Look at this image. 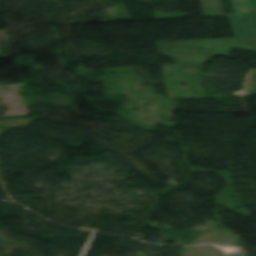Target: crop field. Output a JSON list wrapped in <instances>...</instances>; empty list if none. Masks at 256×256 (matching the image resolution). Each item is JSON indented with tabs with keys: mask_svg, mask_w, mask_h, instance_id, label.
<instances>
[{
	"mask_svg": "<svg viewBox=\"0 0 256 256\" xmlns=\"http://www.w3.org/2000/svg\"><path fill=\"white\" fill-rule=\"evenodd\" d=\"M158 52L178 65L206 63L217 55L229 57L232 48L256 53V37L156 43ZM210 53L212 56L207 58Z\"/></svg>",
	"mask_w": 256,
	"mask_h": 256,
	"instance_id": "obj_1",
	"label": "crop field"
},
{
	"mask_svg": "<svg viewBox=\"0 0 256 256\" xmlns=\"http://www.w3.org/2000/svg\"><path fill=\"white\" fill-rule=\"evenodd\" d=\"M256 2V0H255ZM228 16L235 37L256 36V13ZM250 24V27H247Z\"/></svg>",
	"mask_w": 256,
	"mask_h": 256,
	"instance_id": "obj_2",
	"label": "crop field"
},
{
	"mask_svg": "<svg viewBox=\"0 0 256 256\" xmlns=\"http://www.w3.org/2000/svg\"><path fill=\"white\" fill-rule=\"evenodd\" d=\"M201 4L203 12L207 16L224 15L220 0H201Z\"/></svg>",
	"mask_w": 256,
	"mask_h": 256,
	"instance_id": "obj_3",
	"label": "crop field"
},
{
	"mask_svg": "<svg viewBox=\"0 0 256 256\" xmlns=\"http://www.w3.org/2000/svg\"><path fill=\"white\" fill-rule=\"evenodd\" d=\"M246 13L256 12V5L254 0H242ZM236 14H241V7L239 0H231Z\"/></svg>",
	"mask_w": 256,
	"mask_h": 256,
	"instance_id": "obj_4",
	"label": "crop field"
}]
</instances>
